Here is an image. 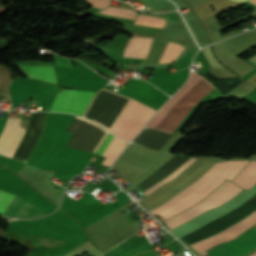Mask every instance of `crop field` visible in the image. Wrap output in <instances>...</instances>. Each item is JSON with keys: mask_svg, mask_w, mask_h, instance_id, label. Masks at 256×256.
<instances>
[{"mask_svg": "<svg viewBox=\"0 0 256 256\" xmlns=\"http://www.w3.org/2000/svg\"><path fill=\"white\" fill-rule=\"evenodd\" d=\"M244 161H223L215 163L202 177H200L197 181L191 184L189 187L184 189L175 197L171 198L167 202L163 203L156 209L150 211L153 215L157 212L171 206L175 202L182 199L186 196L189 192L195 189L198 185H200L209 175H211L222 163V165L210 176L208 177L200 186H198L195 190L189 193L186 197L182 200L177 202L176 204L172 205L168 209L158 213L160 216L166 220L167 218L176 215L183 210L187 209L188 207L192 206L193 204L199 202L204 197H206L210 192H212L217 186H219L226 178H231V176L239 169V167L245 163ZM248 160L246 161V163ZM241 166V168L233 175L230 181L238 174V172L246 165Z\"/></svg>", "mask_w": 256, "mask_h": 256, "instance_id": "obj_1", "label": "crop field"}, {"mask_svg": "<svg viewBox=\"0 0 256 256\" xmlns=\"http://www.w3.org/2000/svg\"><path fill=\"white\" fill-rule=\"evenodd\" d=\"M213 88L195 72L191 73L188 83L156 113L146 126L173 133L191 107Z\"/></svg>", "mask_w": 256, "mask_h": 256, "instance_id": "obj_2", "label": "crop field"}, {"mask_svg": "<svg viewBox=\"0 0 256 256\" xmlns=\"http://www.w3.org/2000/svg\"><path fill=\"white\" fill-rule=\"evenodd\" d=\"M242 188L232 184L229 181L223 182L218 188H216L209 196L203 199L200 203L196 204L192 208L164 221V223L170 228L176 227L195 216L207 211L210 208L217 207L225 201L233 198L241 191Z\"/></svg>", "mask_w": 256, "mask_h": 256, "instance_id": "obj_3", "label": "crop field"}, {"mask_svg": "<svg viewBox=\"0 0 256 256\" xmlns=\"http://www.w3.org/2000/svg\"><path fill=\"white\" fill-rule=\"evenodd\" d=\"M66 132L75 133L68 146L95 153L108 131L79 117H75Z\"/></svg>", "mask_w": 256, "mask_h": 256, "instance_id": "obj_4", "label": "crop field"}, {"mask_svg": "<svg viewBox=\"0 0 256 256\" xmlns=\"http://www.w3.org/2000/svg\"><path fill=\"white\" fill-rule=\"evenodd\" d=\"M154 112L155 110L132 99L111 132L131 140Z\"/></svg>", "mask_w": 256, "mask_h": 256, "instance_id": "obj_5", "label": "crop field"}, {"mask_svg": "<svg viewBox=\"0 0 256 256\" xmlns=\"http://www.w3.org/2000/svg\"><path fill=\"white\" fill-rule=\"evenodd\" d=\"M93 95V92L62 90L56 95L50 111L69 112L82 116Z\"/></svg>", "mask_w": 256, "mask_h": 256, "instance_id": "obj_6", "label": "crop field"}, {"mask_svg": "<svg viewBox=\"0 0 256 256\" xmlns=\"http://www.w3.org/2000/svg\"><path fill=\"white\" fill-rule=\"evenodd\" d=\"M254 224H256V212H254L253 214H251L249 217H247L243 221L239 222L238 224H236V225H234V226H232V227H230V228H228L210 238L201 240V241L191 245V247L194 248L201 255L204 251L208 250L212 246L237 236L238 234H240L241 232L248 229L249 227H251Z\"/></svg>", "mask_w": 256, "mask_h": 256, "instance_id": "obj_7", "label": "crop field"}, {"mask_svg": "<svg viewBox=\"0 0 256 256\" xmlns=\"http://www.w3.org/2000/svg\"><path fill=\"white\" fill-rule=\"evenodd\" d=\"M20 119L8 118L6 127L0 136V154L12 157L25 129L19 126Z\"/></svg>", "mask_w": 256, "mask_h": 256, "instance_id": "obj_8", "label": "crop field"}, {"mask_svg": "<svg viewBox=\"0 0 256 256\" xmlns=\"http://www.w3.org/2000/svg\"><path fill=\"white\" fill-rule=\"evenodd\" d=\"M166 44H167V42H165V41H160V40L154 39L151 51L148 55V58L142 62L143 63H157ZM174 46H175L174 43L168 42L158 63H166V59ZM183 48L184 47L182 45L176 44V46L173 48L167 62H173L175 60V58L178 56V54L182 51Z\"/></svg>", "mask_w": 256, "mask_h": 256, "instance_id": "obj_9", "label": "crop field"}, {"mask_svg": "<svg viewBox=\"0 0 256 256\" xmlns=\"http://www.w3.org/2000/svg\"><path fill=\"white\" fill-rule=\"evenodd\" d=\"M126 145V141L110 133L96 154L106 156L102 164L110 166Z\"/></svg>", "mask_w": 256, "mask_h": 256, "instance_id": "obj_10", "label": "crop field"}, {"mask_svg": "<svg viewBox=\"0 0 256 256\" xmlns=\"http://www.w3.org/2000/svg\"><path fill=\"white\" fill-rule=\"evenodd\" d=\"M153 38L132 36L124 50L123 57L145 58Z\"/></svg>", "mask_w": 256, "mask_h": 256, "instance_id": "obj_11", "label": "crop field"}, {"mask_svg": "<svg viewBox=\"0 0 256 256\" xmlns=\"http://www.w3.org/2000/svg\"><path fill=\"white\" fill-rule=\"evenodd\" d=\"M28 76L56 83L53 67L48 66H19ZM57 84V83H56Z\"/></svg>", "mask_w": 256, "mask_h": 256, "instance_id": "obj_12", "label": "crop field"}, {"mask_svg": "<svg viewBox=\"0 0 256 256\" xmlns=\"http://www.w3.org/2000/svg\"><path fill=\"white\" fill-rule=\"evenodd\" d=\"M232 182L250 189L256 182V161H250Z\"/></svg>", "mask_w": 256, "mask_h": 256, "instance_id": "obj_13", "label": "crop field"}, {"mask_svg": "<svg viewBox=\"0 0 256 256\" xmlns=\"http://www.w3.org/2000/svg\"><path fill=\"white\" fill-rule=\"evenodd\" d=\"M136 12L134 10H128V9H121V8H115V7H110L106 8L99 13L103 14H108V15H113V16H118V17H123V18H128V19H135Z\"/></svg>", "mask_w": 256, "mask_h": 256, "instance_id": "obj_14", "label": "crop field"}, {"mask_svg": "<svg viewBox=\"0 0 256 256\" xmlns=\"http://www.w3.org/2000/svg\"><path fill=\"white\" fill-rule=\"evenodd\" d=\"M135 24L163 27L165 24V20L163 18H159V17H153V16L139 14L137 19L135 20Z\"/></svg>", "mask_w": 256, "mask_h": 256, "instance_id": "obj_15", "label": "crop field"}, {"mask_svg": "<svg viewBox=\"0 0 256 256\" xmlns=\"http://www.w3.org/2000/svg\"><path fill=\"white\" fill-rule=\"evenodd\" d=\"M196 159L191 158L189 161H187L184 165H182L179 169H177L175 172H173L171 175H169L167 178H165L164 180H162L161 182L157 183L156 185H154L153 187H151L150 189L146 190L145 192H143L146 196L149 195L150 193H152L153 191H155L156 189H158L160 186H162L163 184H165L166 182H168L169 180H171L172 178H174L175 176H177L178 174H180L182 171H184L190 164H192Z\"/></svg>", "mask_w": 256, "mask_h": 256, "instance_id": "obj_16", "label": "crop field"}, {"mask_svg": "<svg viewBox=\"0 0 256 256\" xmlns=\"http://www.w3.org/2000/svg\"><path fill=\"white\" fill-rule=\"evenodd\" d=\"M2 193L3 191L0 190V196L2 195ZM13 198L14 195L4 192V194L0 198V213H3V211L6 209V207Z\"/></svg>", "mask_w": 256, "mask_h": 256, "instance_id": "obj_17", "label": "crop field"}, {"mask_svg": "<svg viewBox=\"0 0 256 256\" xmlns=\"http://www.w3.org/2000/svg\"><path fill=\"white\" fill-rule=\"evenodd\" d=\"M203 53L205 54L207 60L209 61L211 67L216 68H224L222 65H220L214 58L213 54L210 51V46L207 48L202 49Z\"/></svg>", "mask_w": 256, "mask_h": 256, "instance_id": "obj_18", "label": "crop field"}, {"mask_svg": "<svg viewBox=\"0 0 256 256\" xmlns=\"http://www.w3.org/2000/svg\"><path fill=\"white\" fill-rule=\"evenodd\" d=\"M91 6L97 7V8H105L107 7L110 0H86Z\"/></svg>", "mask_w": 256, "mask_h": 256, "instance_id": "obj_19", "label": "crop field"}, {"mask_svg": "<svg viewBox=\"0 0 256 256\" xmlns=\"http://www.w3.org/2000/svg\"><path fill=\"white\" fill-rule=\"evenodd\" d=\"M255 248H256V242H254L253 244H251L248 247L244 248L243 250H241L240 252L236 253L233 256H244L247 253H249L250 251L254 250Z\"/></svg>", "mask_w": 256, "mask_h": 256, "instance_id": "obj_20", "label": "crop field"}, {"mask_svg": "<svg viewBox=\"0 0 256 256\" xmlns=\"http://www.w3.org/2000/svg\"><path fill=\"white\" fill-rule=\"evenodd\" d=\"M249 60H251L252 62H254L256 64V56L251 58V59H249Z\"/></svg>", "mask_w": 256, "mask_h": 256, "instance_id": "obj_21", "label": "crop field"}, {"mask_svg": "<svg viewBox=\"0 0 256 256\" xmlns=\"http://www.w3.org/2000/svg\"><path fill=\"white\" fill-rule=\"evenodd\" d=\"M233 1H236V2H241V3H243V2H246V1H248V0H233Z\"/></svg>", "mask_w": 256, "mask_h": 256, "instance_id": "obj_22", "label": "crop field"}, {"mask_svg": "<svg viewBox=\"0 0 256 256\" xmlns=\"http://www.w3.org/2000/svg\"><path fill=\"white\" fill-rule=\"evenodd\" d=\"M250 2H252V3L256 4V0H250Z\"/></svg>", "mask_w": 256, "mask_h": 256, "instance_id": "obj_23", "label": "crop field"}, {"mask_svg": "<svg viewBox=\"0 0 256 256\" xmlns=\"http://www.w3.org/2000/svg\"><path fill=\"white\" fill-rule=\"evenodd\" d=\"M251 256H256V252L254 254H252Z\"/></svg>", "mask_w": 256, "mask_h": 256, "instance_id": "obj_24", "label": "crop field"}]
</instances>
